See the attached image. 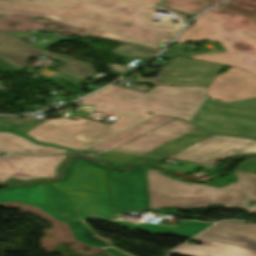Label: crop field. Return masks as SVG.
<instances>
[{
  "instance_id": "obj_12",
  "label": "crop field",
  "mask_w": 256,
  "mask_h": 256,
  "mask_svg": "<svg viewBox=\"0 0 256 256\" xmlns=\"http://www.w3.org/2000/svg\"><path fill=\"white\" fill-rule=\"evenodd\" d=\"M198 127L175 119L117 149L115 151L144 155Z\"/></svg>"
},
{
  "instance_id": "obj_5",
  "label": "crop field",
  "mask_w": 256,
  "mask_h": 256,
  "mask_svg": "<svg viewBox=\"0 0 256 256\" xmlns=\"http://www.w3.org/2000/svg\"><path fill=\"white\" fill-rule=\"evenodd\" d=\"M201 39L218 41L226 51L188 55L189 58L236 66L256 75L255 21L216 7L202 14L174 43L182 45Z\"/></svg>"
},
{
  "instance_id": "obj_28",
  "label": "crop field",
  "mask_w": 256,
  "mask_h": 256,
  "mask_svg": "<svg viewBox=\"0 0 256 256\" xmlns=\"http://www.w3.org/2000/svg\"><path fill=\"white\" fill-rule=\"evenodd\" d=\"M4 119L3 117H0V120Z\"/></svg>"
},
{
  "instance_id": "obj_3",
  "label": "crop field",
  "mask_w": 256,
  "mask_h": 256,
  "mask_svg": "<svg viewBox=\"0 0 256 256\" xmlns=\"http://www.w3.org/2000/svg\"><path fill=\"white\" fill-rule=\"evenodd\" d=\"M160 0H0V10L62 15L61 19L76 25L111 32L127 37L131 42L158 47L169 43L180 27H174L170 18L158 24L150 22L151 12L139 10ZM157 5V4H156Z\"/></svg>"
},
{
  "instance_id": "obj_19",
  "label": "crop field",
  "mask_w": 256,
  "mask_h": 256,
  "mask_svg": "<svg viewBox=\"0 0 256 256\" xmlns=\"http://www.w3.org/2000/svg\"><path fill=\"white\" fill-rule=\"evenodd\" d=\"M165 7L178 10L187 14H195L211 5L197 0H163Z\"/></svg>"
},
{
  "instance_id": "obj_10",
  "label": "crop field",
  "mask_w": 256,
  "mask_h": 256,
  "mask_svg": "<svg viewBox=\"0 0 256 256\" xmlns=\"http://www.w3.org/2000/svg\"><path fill=\"white\" fill-rule=\"evenodd\" d=\"M207 95L224 102L256 97V76L233 67L215 76L208 86Z\"/></svg>"
},
{
  "instance_id": "obj_2",
  "label": "crop field",
  "mask_w": 256,
  "mask_h": 256,
  "mask_svg": "<svg viewBox=\"0 0 256 256\" xmlns=\"http://www.w3.org/2000/svg\"><path fill=\"white\" fill-rule=\"evenodd\" d=\"M130 97L139 99L132 100ZM203 99L204 89L201 88L156 86L144 93L111 86L81 101L82 104L95 106L94 111L116 115L118 119L111 126L91 120L70 121L61 118L44 122L26 135L40 142L74 150L87 149L157 115L190 121ZM147 111L154 114L147 115Z\"/></svg>"
},
{
  "instance_id": "obj_21",
  "label": "crop field",
  "mask_w": 256,
  "mask_h": 256,
  "mask_svg": "<svg viewBox=\"0 0 256 256\" xmlns=\"http://www.w3.org/2000/svg\"><path fill=\"white\" fill-rule=\"evenodd\" d=\"M20 119L21 118L7 117L4 120L0 121V126L15 129L25 134L42 122V121H33L31 119H24V120H20Z\"/></svg>"
},
{
  "instance_id": "obj_17",
  "label": "crop field",
  "mask_w": 256,
  "mask_h": 256,
  "mask_svg": "<svg viewBox=\"0 0 256 256\" xmlns=\"http://www.w3.org/2000/svg\"><path fill=\"white\" fill-rule=\"evenodd\" d=\"M212 134L198 128L148 154L146 156L166 158Z\"/></svg>"
},
{
  "instance_id": "obj_24",
  "label": "crop field",
  "mask_w": 256,
  "mask_h": 256,
  "mask_svg": "<svg viewBox=\"0 0 256 256\" xmlns=\"http://www.w3.org/2000/svg\"><path fill=\"white\" fill-rule=\"evenodd\" d=\"M135 161L156 164V163L162 161V159H156V158H150V157L141 156V157H139V158H137V159H135V160H133V161H131L129 163H133ZM129 163H127V164H129Z\"/></svg>"
},
{
  "instance_id": "obj_13",
  "label": "crop field",
  "mask_w": 256,
  "mask_h": 256,
  "mask_svg": "<svg viewBox=\"0 0 256 256\" xmlns=\"http://www.w3.org/2000/svg\"><path fill=\"white\" fill-rule=\"evenodd\" d=\"M200 237L256 250V225L221 223Z\"/></svg>"
},
{
  "instance_id": "obj_7",
  "label": "crop field",
  "mask_w": 256,
  "mask_h": 256,
  "mask_svg": "<svg viewBox=\"0 0 256 256\" xmlns=\"http://www.w3.org/2000/svg\"><path fill=\"white\" fill-rule=\"evenodd\" d=\"M71 154L50 156L14 155L0 159V184L10 180L28 182L39 179L55 178L59 168Z\"/></svg>"
},
{
  "instance_id": "obj_25",
  "label": "crop field",
  "mask_w": 256,
  "mask_h": 256,
  "mask_svg": "<svg viewBox=\"0 0 256 256\" xmlns=\"http://www.w3.org/2000/svg\"><path fill=\"white\" fill-rule=\"evenodd\" d=\"M108 247H112V248H115V247H113V246H111V241H110V243L107 245ZM117 249V248H116ZM106 252H108V251H106ZM110 255H112V256H132V255H130V254H127V253H125V252H123V251H121V250H117L116 252H114V253H112V252H108Z\"/></svg>"
},
{
  "instance_id": "obj_15",
  "label": "crop field",
  "mask_w": 256,
  "mask_h": 256,
  "mask_svg": "<svg viewBox=\"0 0 256 256\" xmlns=\"http://www.w3.org/2000/svg\"><path fill=\"white\" fill-rule=\"evenodd\" d=\"M0 150L25 154H50L69 151L50 146L38 145L10 132H0Z\"/></svg>"
},
{
  "instance_id": "obj_6",
  "label": "crop field",
  "mask_w": 256,
  "mask_h": 256,
  "mask_svg": "<svg viewBox=\"0 0 256 256\" xmlns=\"http://www.w3.org/2000/svg\"><path fill=\"white\" fill-rule=\"evenodd\" d=\"M192 123L211 133L256 138V100L229 105L206 100Z\"/></svg>"
},
{
  "instance_id": "obj_8",
  "label": "crop field",
  "mask_w": 256,
  "mask_h": 256,
  "mask_svg": "<svg viewBox=\"0 0 256 256\" xmlns=\"http://www.w3.org/2000/svg\"><path fill=\"white\" fill-rule=\"evenodd\" d=\"M41 54L53 57L55 59L67 62L58 72L65 73L85 80L97 70L92 69L91 65L84 62L72 60L69 58H60L48 54L38 48H35L17 38L0 32V59L23 70L27 67V61L30 58Z\"/></svg>"
},
{
  "instance_id": "obj_14",
  "label": "crop field",
  "mask_w": 256,
  "mask_h": 256,
  "mask_svg": "<svg viewBox=\"0 0 256 256\" xmlns=\"http://www.w3.org/2000/svg\"><path fill=\"white\" fill-rule=\"evenodd\" d=\"M203 245H185L173 252L188 256H256V251L197 237Z\"/></svg>"
},
{
  "instance_id": "obj_22",
  "label": "crop field",
  "mask_w": 256,
  "mask_h": 256,
  "mask_svg": "<svg viewBox=\"0 0 256 256\" xmlns=\"http://www.w3.org/2000/svg\"><path fill=\"white\" fill-rule=\"evenodd\" d=\"M136 157H138V155L109 152L99 158H96V159L97 160H108V161L114 163L116 166H120Z\"/></svg>"
},
{
  "instance_id": "obj_4",
  "label": "crop field",
  "mask_w": 256,
  "mask_h": 256,
  "mask_svg": "<svg viewBox=\"0 0 256 256\" xmlns=\"http://www.w3.org/2000/svg\"><path fill=\"white\" fill-rule=\"evenodd\" d=\"M256 159L242 162L235 173L239 181L225 188L174 180L156 170L147 171L150 209L194 208L218 204L248 207L256 202Z\"/></svg>"
},
{
  "instance_id": "obj_9",
  "label": "crop field",
  "mask_w": 256,
  "mask_h": 256,
  "mask_svg": "<svg viewBox=\"0 0 256 256\" xmlns=\"http://www.w3.org/2000/svg\"><path fill=\"white\" fill-rule=\"evenodd\" d=\"M230 150L242 154L256 153V141L212 135L168 158L195 162L201 165Z\"/></svg>"
},
{
  "instance_id": "obj_23",
  "label": "crop field",
  "mask_w": 256,
  "mask_h": 256,
  "mask_svg": "<svg viewBox=\"0 0 256 256\" xmlns=\"http://www.w3.org/2000/svg\"><path fill=\"white\" fill-rule=\"evenodd\" d=\"M0 13H15V12L0 11ZM22 14H25V13H22ZM30 15H35V14H30ZM38 16H44V17H49V18H53V19H56V20H60V19L57 18L58 16H48V15H38ZM60 21H63V20H60ZM63 22H65V21H63ZM66 23H68V22H66ZM68 24H71V23H68ZM71 25H73V24H71ZM74 26H76V25H74ZM77 27H80V26H77ZM80 28H83V29H85V30H87L89 32H92V33L102 34V35H106V36H109V37H113V38H117V39H121V40H126L127 41L126 38L118 37V36H115V35H113L111 33H103V32H99V31L88 29V28H84V27H80Z\"/></svg>"
},
{
  "instance_id": "obj_27",
  "label": "crop field",
  "mask_w": 256,
  "mask_h": 256,
  "mask_svg": "<svg viewBox=\"0 0 256 256\" xmlns=\"http://www.w3.org/2000/svg\"><path fill=\"white\" fill-rule=\"evenodd\" d=\"M144 10L151 11V12H153V13L155 14L154 5L148 7V8H146V9H144Z\"/></svg>"
},
{
  "instance_id": "obj_16",
  "label": "crop field",
  "mask_w": 256,
  "mask_h": 256,
  "mask_svg": "<svg viewBox=\"0 0 256 256\" xmlns=\"http://www.w3.org/2000/svg\"><path fill=\"white\" fill-rule=\"evenodd\" d=\"M174 119L173 117H166V116H157L135 128H132L121 135L103 143L98 146L93 147V149H108L112 150L170 120Z\"/></svg>"
},
{
  "instance_id": "obj_26",
  "label": "crop field",
  "mask_w": 256,
  "mask_h": 256,
  "mask_svg": "<svg viewBox=\"0 0 256 256\" xmlns=\"http://www.w3.org/2000/svg\"><path fill=\"white\" fill-rule=\"evenodd\" d=\"M200 1H203V2L211 4V5H215L223 0H200Z\"/></svg>"
},
{
  "instance_id": "obj_18",
  "label": "crop field",
  "mask_w": 256,
  "mask_h": 256,
  "mask_svg": "<svg viewBox=\"0 0 256 256\" xmlns=\"http://www.w3.org/2000/svg\"><path fill=\"white\" fill-rule=\"evenodd\" d=\"M218 7L256 20V0H233Z\"/></svg>"
},
{
  "instance_id": "obj_1",
  "label": "crop field",
  "mask_w": 256,
  "mask_h": 256,
  "mask_svg": "<svg viewBox=\"0 0 256 256\" xmlns=\"http://www.w3.org/2000/svg\"><path fill=\"white\" fill-rule=\"evenodd\" d=\"M61 176L60 181L2 190L0 202L11 200L42 205V211L57 220L68 222L78 241L112 252L115 249L106 247L109 240L89 228L84 219L107 220L151 234H173L186 238H192L213 225L185 221L171 228L115 216V213L124 212L139 215L149 209L146 170L142 165L132 166L130 173L119 174L112 173L97 162L74 157L63 168ZM77 228H82V231H75Z\"/></svg>"
},
{
  "instance_id": "obj_11",
  "label": "crop field",
  "mask_w": 256,
  "mask_h": 256,
  "mask_svg": "<svg viewBox=\"0 0 256 256\" xmlns=\"http://www.w3.org/2000/svg\"><path fill=\"white\" fill-rule=\"evenodd\" d=\"M220 68V65L177 57L164 69L167 73L160 84L208 86Z\"/></svg>"
},
{
  "instance_id": "obj_20",
  "label": "crop field",
  "mask_w": 256,
  "mask_h": 256,
  "mask_svg": "<svg viewBox=\"0 0 256 256\" xmlns=\"http://www.w3.org/2000/svg\"><path fill=\"white\" fill-rule=\"evenodd\" d=\"M160 50L161 49H154V48L131 43V44L119 46L114 51H112V53H116V54H120L128 57H136V56L144 55L146 57L151 58Z\"/></svg>"
}]
</instances>
